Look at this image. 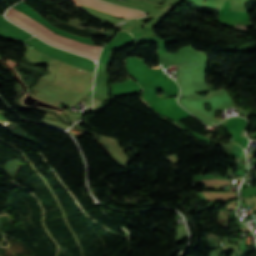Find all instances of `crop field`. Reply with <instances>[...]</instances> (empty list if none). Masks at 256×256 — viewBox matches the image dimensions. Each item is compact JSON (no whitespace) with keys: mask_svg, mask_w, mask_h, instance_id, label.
<instances>
[{"mask_svg":"<svg viewBox=\"0 0 256 256\" xmlns=\"http://www.w3.org/2000/svg\"><path fill=\"white\" fill-rule=\"evenodd\" d=\"M161 20H156L152 23H146V22H140V21H135L131 20L128 22L129 24H132L134 26H143V27H155Z\"/></svg>","mask_w":256,"mask_h":256,"instance_id":"ac0d7876","label":"crop field"},{"mask_svg":"<svg viewBox=\"0 0 256 256\" xmlns=\"http://www.w3.org/2000/svg\"><path fill=\"white\" fill-rule=\"evenodd\" d=\"M12 16H13V15H12ZM13 17H15V16H13ZM13 17L9 16V17H7V18H8L9 20L15 22L16 24H18V25L24 27L25 29H27V30L30 31L31 33L35 34L36 36L42 38L44 41H47V42H49V43H51V44H53V45H56V46H59V47L68 49V50H70V51L76 52V53H78V54H81V55H84V56L93 58V59H95V60H97V57H95V56H93V55L99 56V55H98V54H99L98 51L91 50V49H88V48H85V47H81V46H78V45H75V44H72V43H69V42H66V41H63V40H60V39L56 38L55 40H57V41H61V42H64V43H67V44H70V45H73V46H76V47H79V48H82V49H85V50H89V51H92V52H95V53H98V54H95V53H92V52H89V51H85V50H82V49H79V48H76V47H73V46H70V45L61 43V42H57V41L53 40L52 38H50L49 36H47L46 34L40 32L39 30L35 29L34 27L30 26L29 24L25 23L24 21L20 20L19 18L15 17V18L19 19L20 21H22L23 23H25L26 25H28L29 27H31V28H33L34 30H36L37 32H39L40 34H42L43 36H45L46 38L52 40V41H55V42H57V43H59V44L66 45V46H69V47H72V48H75V49H78V50H81V51H84V52H87V53H90V54H93V55H90V54H87V53H84V52H81V51H78V50H75V49H72V48H69V47H65V46L56 44V43H54V42H52V41L46 39L45 37H43L42 35H40V34L37 33L36 31H34L33 29L29 28L28 26H26L25 24H23L22 22H20L19 20L15 19V18H13Z\"/></svg>","mask_w":256,"mask_h":256,"instance_id":"8a807250","label":"crop field"}]
</instances>
